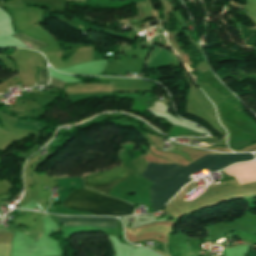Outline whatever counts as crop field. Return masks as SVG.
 <instances>
[{
    "label": "crop field",
    "instance_id": "3",
    "mask_svg": "<svg viewBox=\"0 0 256 256\" xmlns=\"http://www.w3.org/2000/svg\"><path fill=\"white\" fill-rule=\"evenodd\" d=\"M129 174V171L120 165L105 172L84 176L83 180L86 188L107 195L114 185L123 181Z\"/></svg>",
    "mask_w": 256,
    "mask_h": 256
},
{
    "label": "crop field",
    "instance_id": "5",
    "mask_svg": "<svg viewBox=\"0 0 256 256\" xmlns=\"http://www.w3.org/2000/svg\"><path fill=\"white\" fill-rule=\"evenodd\" d=\"M57 183L59 188H64V190L58 192V199L56 203L63 202L73 189L84 187L81 177L59 179L57 180ZM70 183H74L75 185L72 186Z\"/></svg>",
    "mask_w": 256,
    "mask_h": 256
},
{
    "label": "crop field",
    "instance_id": "1",
    "mask_svg": "<svg viewBox=\"0 0 256 256\" xmlns=\"http://www.w3.org/2000/svg\"><path fill=\"white\" fill-rule=\"evenodd\" d=\"M252 159H254V156L249 153L223 155L208 154L187 167L148 163L141 176L156 184L149 188L151 204L154 213H156L177 193L181 188L182 183L190 180L187 177L191 174L203 169L221 170L235 162Z\"/></svg>",
    "mask_w": 256,
    "mask_h": 256
},
{
    "label": "crop field",
    "instance_id": "8",
    "mask_svg": "<svg viewBox=\"0 0 256 256\" xmlns=\"http://www.w3.org/2000/svg\"><path fill=\"white\" fill-rule=\"evenodd\" d=\"M49 85L62 89L64 87L65 83L56 81V80L51 78V83Z\"/></svg>",
    "mask_w": 256,
    "mask_h": 256
},
{
    "label": "crop field",
    "instance_id": "2",
    "mask_svg": "<svg viewBox=\"0 0 256 256\" xmlns=\"http://www.w3.org/2000/svg\"><path fill=\"white\" fill-rule=\"evenodd\" d=\"M63 205L71 209L88 211L94 215L104 216L132 214L135 208L133 205L86 189L73 191L63 202Z\"/></svg>",
    "mask_w": 256,
    "mask_h": 256
},
{
    "label": "crop field",
    "instance_id": "7",
    "mask_svg": "<svg viewBox=\"0 0 256 256\" xmlns=\"http://www.w3.org/2000/svg\"><path fill=\"white\" fill-rule=\"evenodd\" d=\"M47 75H46V72L44 70H40V77H39V80H38V84H45L47 83Z\"/></svg>",
    "mask_w": 256,
    "mask_h": 256
},
{
    "label": "crop field",
    "instance_id": "6",
    "mask_svg": "<svg viewBox=\"0 0 256 256\" xmlns=\"http://www.w3.org/2000/svg\"><path fill=\"white\" fill-rule=\"evenodd\" d=\"M14 35H16V36H18V37L28 41L30 44H32L33 46H36V47L42 48L44 46H47V45H45L43 43H40V42H38V41H36V40H34V39L24 35V34H21V33H17V34H14Z\"/></svg>",
    "mask_w": 256,
    "mask_h": 256
},
{
    "label": "crop field",
    "instance_id": "9",
    "mask_svg": "<svg viewBox=\"0 0 256 256\" xmlns=\"http://www.w3.org/2000/svg\"><path fill=\"white\" fill-rule=\"evenodd\" d=\"M251 247H254V246L250 245L249 251H248V256H256V252L251 251Z\"/></svg>",
    "mask_w": 256,
    "mask_h": 256
},
{
    "label": "crop field",
    "instance_id": "4",
    "mask_svg": "<svg viewBox=\"0 0 256 256\" xmlns=\"http://www.w3.org/2000/svg\"><path fill=\"white\" fill-rule=\"evenodd\" d=\"M54 216L64 227L90 226L94 228L117 229V218Z\"/></svg>",
    "mask_w": 256,
    "mask_h": 256
}]
</instances>
